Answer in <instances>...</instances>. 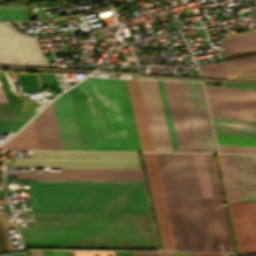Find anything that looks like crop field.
Masks as SVG:
<instances>
[{
	"mask_svg": "<svg viewBox=\"0 0 256 256\" xmlns=\"http://www.w3.org/2000/svg\"><path fill=\"white\" fill-rule=\"evenodd\" d=\"M34 213L150 215L143 180L31 179ZM34 214L25 247L157 249L151 216Z\"/></svg>",
	"mask_w": 256,
	"mask_h": 256,
	"instance_id": "1",
	"label": "crop field"
},
{
	"mask_svg": "<svg viewBox=\"0 0 256 256\" xmlns=\"http://www.w3.org/2000/svg\"><path fill=\"white\" fill-rule=\"evenodd\" d=\"M143 154L163 250L213 251L192 153Z\"/></svg>",
	"mask_w": 256,
	"mask_h": 256,
	"instance_id": "2",
	"label": "crop field"
},
{
	"mask_svg": "<svg viewBox=\"0 0 256 256\" xmlns=\"http://www.w3.org/2000/svg\"><path fill=\"white\" fill-rule=\"evenodd\" d=\"M68 92L82 150L141 151L125 80L88 77Z\"/></svg>",
	"mask_w": 256,
	"mask_h": 256,
	"instance_id": "3",
	"label": "crop field"
},
{
	"mask_svg": "<svg viewBox=\"0 0 256 256\" xmlns=\"http://www.w3.org/2000/svg\"><path fill=\"white\" fill-rule=\"evenodd\" d=\"M19 167L141 168L137 152L31 151L15 158Z\"/></svg>",
	"mask_w": 256,
	"mask_h": 256,
	"instance_id": "4",
	"label": "crop field"
},
{
	"mask_svg": "<svg viewBox=\"0 0 256 256\" xmlns=\"http://www.w3.org/2000/svg\"><path fill=\"white\" fill-rule=\"evenodd\" d=\"M212 117L256 120V89L205 86Z\"/></svg>",
	"mask_w": 256,
	"mask_h": 256,
	"instance_id": "5",
	"label": "crop field"
},
{
	"mask_svg": "<svg viewBox=\"0 0 256 256\" xmlns=\"http://www.w3.org/2000/svg\"><path fill=\"white\" fill-rule=\"evenodd\" d=\"M0 62L47 65L36 38L19 35L0 24Z\"/></svg>",
	"mask_w": 256,
	"mask_h": 256,
	"instance_id": "6",
	"label": "crop field"
},
{
	"mask_svg": "<svg viewBox=\"0 0 256 256\" xmlns=\"http://www.w3.org/2000/svg\"><path fill=\"white\" fill-rule=\"evenodd\" d=\"M155 151H172L156 80L138 79Z\"/></svg>",
	"mask_w": 256,
	"mask_h": 256,
	"instance_id": "7",
	"label": "crop field"
},
{
	"mask_svg": "<svg viewBox=\"0 0 256 256\" xmlns=\"http://www.w3.org/2000/svg\"><path fill=\"white\" fill-rule=\"evenodd\" d=\"M198 151L216 152L200 83L182 82Z\"/></svg>",
	"mask_w": 256,
	"mask_h": 256,
	"instance_id": "8",
	"label": "crop field"
},
{
	"mask_svg": "<svg viewBox=\"0 0 256 256\" xmlns=\"http://www.w3.org/2000/svg\"><path fill=\"white\" fill-rule=\"evenodd\" d=\"M238 254H256V202L228 204Z\"/></svg>",
	"mask_w": 256,
	"mask_h": 256,
	"instance_id": "9",
	"label": "crop field"
},
{
	"mask_svg": "<svg viewBox=\"0 0 256 256\" xmlns=\"http://www.w3.org/2000/svg\"><path fill=\"white\" fill-rule=\"evenodd\" d=\"M214 251H224L203 153H193Z\"/></svg>",
	"mask_w": 256,
	"mask_h": 256,
	"instance_id": "10",
	"label": "crop field"
},
{
	"mask_svg": "<svg viewBox=\"0 0 256 256\" xmlns=\"http://www.w3.org/2000/svg\"><path fill=\"white\" fill-rule=\"evenodd\" d=\"M63 149L81 150L68 93L52 102Z\"/></svg>",
	"mask_w": 256,
	"mask_h": 256,
	"instance_id": "11",
	"label": "crop field"
},
{
	"mask_svg": "<svg viewBox=\"0 0 256 256\" xmlns=\"http://www.w3.org/2000/svg\"><path fill=\"white\" fill-rule=\"evenodd\" d=\"M225 251H234L212 154L204 153Z\"/></svg>",
	"mask_w": 256,
	"mask_h": 256,
	"instance_id": "12",
	"label": "crop field"
},
{
	"mask_svg": "<svg viewBox=\"0 0 256 256\" xmlns=\"http://www.w3.org/2000/svg\"><path fill=\"white\" fill-rule=\"evenodd\" d=\"M242 201L256 200V156L232 155Z\"/></svg>",
	"mask_w": 256,
	"mask_h": 256,
	"instance_id": "13",
	"label": "crop field"
},
{
	"mask_svg": "<svg viewBox=\"0 0 256 256\" xmlns=\"http://www.w3.org/2000/svg\"><path fill=\"white\" fill-rule=\"evenodd\" d=\"M41 149H62L52 105H48L35 118Z\"/></svg>",
	"mask_w": 256,
	"mask_h": 256,
	"instance_id": "14",
	"label": "crop field"
},
{
	"mask_svg": "<svg viewBox=\"0 0 256 256\" xmlns=\"http://www.w3.org/2000/svg\"><path fill=\"white\" fill-rule=\"evenodd\" d=\"M6 174H17V177L143 179L142 173L6 172Z\"/></svg>",
	"mask_w": 256,
	"mask_h": 256,
	"instance_id": "15",
	"label": "crop field"
},
{
	"mask_svg": "<svg viewBox=\"0 0 256 256\" xmlns=\"http://www.w3.org/2000/svg\"><path fill=\"white\" fill-rule=\"evenodd\" d=\"M217 156L227 202L241 201L231 155Z\"/></svg>",
	"mask_w": 256,
	"mask_h": 256,
	"instance_id": "16",
	"label": "crop field"
},
{
	"mask_svg": "<svg viewBox=\"0 0 256 256\" xmlns=\"http://www.w3.org/2000/svg\"><path fill=\"white\" fill-rule=\"evenodd\" d=\"M216 134L256 136V121L212 118Z\"/></svg>",
	"mask_w": 256,
	"mask_h": 256,
	"instance_id": "17",
	"label": "crop field"
},
{
	"mask_svg": "<svg viewBox=\"0 0 256 256\" xmlns=\"http://www.w3.org/2000/svg\"><path fill=\"white\" fill-rule=\"evenodd\" d=\"M2 148H23V149H40L38 138L35 130L34 121L32 120L16 136L2 144Z\"/></svg>",
	"mask_w": 256,
	"mask_h": 256,
	"instance_id": "18",
	"label": "crop field"
},
{
	"mask_svg": "<svg viewBox=\"0 0 256 256\" xmlns=\"http://www.w3.org/2000/svg\"><path fill=\"white\" fill-rule=\"evenodd\" d=\"M226 55L256 49V33L220 40Z\"/></svg>",
	"mask_w": 256,
	"mask_h": 256,
	"instance_id": "19",
	"label": "crop field"
},
{
	"mask_svg": "<svg viewBox=\"0 0 256 256\" xmlns=\"http://www.w3.org/2000/svg\"><path fill=\"white\" fill-rule=\"evenodd\" d=\"M22 104L0 103V120H28L36 112H21Z\"/></svg>",
	"mask_w": 256,
	"mask_h": 256,
	"instance_id": "20",
	"label": "crop field"
},
{
	"mask_svg": "<svg viewBox=\"0 0 256 256\" xmlns=\"http://www.w3.org/2000/svg\"><path fill=\"white\" fill-rule=\"evenodd\" d=\"M218 144L256 146V137L216 135Z\"/></svg>",
	"mask_w": 256,
	"mask_h": 256,
	"instance_id": "21",
	"label": "crop field"
},
{
	"mask_svg": "<svg viewBox=\"0 0 256 256\" xmlns=\"http://www.w3.org/2000/svg\"><path fill=\"white\" fill-rule=\"evenodd\" d=\"M255 61H256V56H251V57L239 58V59L228 60V61H223V62L200 65V66H198V68H199V71H203V70L221 68V67L255 62Z\"/></svg>",
	"mask_w": 256,
	"mask_h": 256,
	"instance_id": "22",
	"label": "crop field"
},
{
	"mask_svg": "<svg viewBox=\"0 0 256 256\" xmlns=\"http://www.w3.org/2000/svg\"><path fill=\"white\" fill-rule=\"evenodd\" d=\"M157 82H158V86H159V91H160V95H161V100H162V104H163V109H164V113H165V118H166V122H167V127H168V131H169L172 149H173V151H178L172 124H171V120H170V115H169V111H168V107H167V103H166V99H165L162 82H161V80H157Z\"/></svg>",
	"mask_w": 256,
	"mask_h": 256,
	"instance_id": "23",
	"label": "crop field"
},
{
	"mask_svg": "<svg viewBox=\"0 0 256 256\" xmlns=\"http://www.w3.org/2000/svg\"><path fill=\"white\" fill-rule=\"evenodd\" d=\"M255 67H256V62L255 63L238 65V66L226 67V68H221V69L203 71L201 73L204 76H210V75H216V74L227 73V72L238 71V70H244V69L255 68Z\"/></svg>",
	"mask_w": 256,
	"mask_h": 256,
	"instance_id": "24",
	"label": "crop field"
},
{
	"mask_svg": "<svg viewBox=\"0 0 256 256\" xmlns=\"http://www.w3.org/2000/svg\"><path fill=\"white\" fill-rule=\"evenodd\" d=\"M220 152L256 154V147L218 145Z\"/></svg>",
	"mask_w": 256,
	"mask_h": 256,
	"instance_id": "25",
	"label": "crop field"
},
{
	"mask_svg": "<svg viewBox=\"0 0 256 256\" xmlns=\"http://www.w3.org/2000/svg\"><path fill=\"white\" fill-rule=\"evenodd\" d=\"M26 121H0V132H15Z\"/></svg>",
	"mask_w": 256,
	"mask_h": 256,
	"instance_id": "26",
	"label": "crop field"
},
{
	"mask_svg": "<svg viewBox=\"0 0 256 256\" xmlns=\"http://www.w3.org/2000/svg\"><path fill=\"white\" fill-rule=\"evenodd\" d=\"M65 171L142 172L141 169H83V168H66Z\"/></svg>",
	"mask_w": 256,
	"mask_h": 256,
	"instance_id": "27",
	"label": "crop field"
},
{
	"mask_svg": "<svg viewBox=\"0 0 256 256\" xmlns=\"http://www.w3.org/2000/svg\"><path fill=\"white\" fill-rule=\"evenodd\" d=\"M75 256H114L112 252L73 251Z\"/></svg>",
	"mask_w": 256,
	"mask_h": 256,
	"instance_id": "28",
	"label": "crop field"
},
{
	"mask_svg": "<svg viewBox=\"0 0 256 256\" xmlns=\"http://www.w3.org/2000/svg\"><path fill=\"white\" fill-rule=\"evenodd\" d=\"M133 256H160L158 252H131Z\"/></svg>",
	"mask_w": 256,
	"mask_h": 256,
	"instance_id": "29",
	"label": "crop field"
},
{
	"mask_svg": "<svg viewBox=\"0 0 256 256\" xmlns=\"http://www.w3.org/2000/svg\"><path fill=\"white\" fill-rule=\"evenodd\" d=\"M190 256H221L220 253H189Z\"/></svg>",
	"mask_w": 256,
	"mask_h": 256,
	"instance_id": "30",
	"label": "crop field"
},
{
	"mask_svg": "<svg viewBox=\"0 0 256 256\" xmlns=\"http://www.w3.org/2000/svg\"><path fill=\"white\" fill-rule=\"evenodd\" d=\"M31 256H42L40 250H28Z\"/></svg>",
	"mask_w": 256,
	"mask_h": 256,
	"instance_id": "31",
	"label": "crop field"
},
{
	"mask_svg": "<svg viewBox=\"0 0 256 256\" xmlns=\"http://www.w3.org/2000/svg\"><path fill=\"white\" fill-rule=\"evenodd\" d=\"M0 102H8L1 87H0Z\"/></svg>",
	"mask_w": 256,
	"mask_h": 256,
	"instance_id": "32",
	"label": "crop field"
},
{
	"mask_svg": "<svg viewBox=\"0 0 256 256\" xmlns=\"http://www.w3.org/2000/svg\"><path fill=\"white\" fill-rule=\"evenodd\" d=\"M44 256H54L52 251L41 250ZM42 255V256H43Z\"/></svg>",
	"mask_w": 256,
	"mask_h": 256,
	"instance_id": "33",
	"label": "crop field"
},
{
	"mask_svg": "<svg viewBox=\"0 0 256 256\" xmlns=\"http://www.w3.org/2000/svg\"><path fill=\"white\" fill-rule=\"evenodd\" d=\"M115 256H129L127 252H113Z\"/></svg>",
	"mask_w": 256,
	"mask_h": 256,
	"instance_id": "34",
	"label": "crop field"
},
{
	"mask_svg": "<svg viewBox=\"0 0 256 256\" xmlns=\"http://www.w3.org/2000/svg\"><path fill=\"white\" fill-rule=\"evenodd\" d=\"M55 256H64L62 251H53Z\"/></svg>",
	"mask_w": 256,
	"mask_h": 256,
	"instance_id": "35",
	"label": "crop field"
},
{
	"mask_svg": "<svg viewBox=\"0 0 256 256\" xmlns=\"http://www.w3.org/2000/svg\"><path fill=\"white\" fill-rule=\"evenodd\" d=\"M65 256H69L68 252L67 251H63Z\"/></svg>",
	"mask_w": 256,
	"mask_h": 256,
	"instance_id": "36",
	"label": "crop field"
},
{
	"mask_svg": "<svg viewBox=\"0 0 256 256\" xmlns=\"http://www.w3.org/2000/svg\"><path fill=\"white\" fill-rule=\"evenodd\" d=\"M70 256H74L73 252L72 251H68Z\"/></svg>",
	"mask_w": 256,
	"mask_h": 256,
	"instance_id": "37",
	"label": "crop field"
}]
</instances>
